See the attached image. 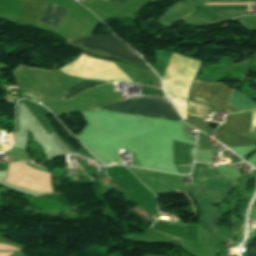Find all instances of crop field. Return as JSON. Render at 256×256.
Listing matches in <instances>:
<instances>
[{
  "mask_svg": "<svg viewBox=\"0 0 256 256\" xmlns=\"http://www.w3.org/2000/svg\"><path fill=\"white\" fill-rule=\"evenodd\" d=\"M237 178H224L214 175L206 164L195 163L192 184L185 185L200 207V213L207 231L216 234V223L220 218L216 209L209 203L221 202L228 190L235 186Z\"/></svg>",
  "mask_w": 256,
  "mask_h": 256,
  "instance_id": "crop-field-1",
  "label": "crop field"
},
{
  "mask_svg": "<svg viewBox=\"0 0 256 256\" xmlns=\"http://www.w3.org/2000/svg\"><path fill=\"white\" fill-rule=\"evenodd\" d=\"M98 109L181 121L166 98H132Z\"/></svg>",
  "mask_w": 256,
  "mask_h": 256,
  "instance_id": "crop-field-2",
  "label": "crop field"
},
{
  "mask_svg": "<svg viewBox=\"0 0 256 256\" xmlns=\"http://www.w3.org/2000/svg\"><path fill=\"white\" fill-rule=\"evenodd\" d=\"M19 163V162H12ZM28 164V163H26ZM24 163L9 164L6 182L14 185L21 186L25 189L39 192V193H53L52 189V176L49 174V170L37 168L29 165L33 168L49 172L45 173L36 169H33Z\"/></svg>",
  "mask_w": 256,
  "mask_h": 256,
  "instance_id": "crop-field-3",
  "label": "crop field"
},
{
  "mask_svg": "<svg viewBox=\"0 0 256 256\" xmlns=\"http://www.w3.org/2000/svg\"><path fill=\"white\" fill-rule=\"evenodd\" d=\"M68 41L95 51L120 57L134 63L147 66L135 51H133L127 44L123 43L112 35L74 39Z\"/></svg>",
  "mask_w": 256,
  "mask_h": 256,
  "instance_id": "crop-field-4",
  "label": "crop field"
},
{
  "mask_svg": "<svg viewBox=\"0 0 256 256\" xmlns=\"http://www.w3.org/2000/svg\"><path fill=\"white\" fill-rule=\"evenodd\" d=\"M218 86L217 83L194 80L188 100V115L204 119L215 100Z\"/></svg>",
  "mask_w": 256,
  "mask_h": 256,
  "instance_id": "crop-field-5",
  "label": "crop field"
},
{
  "mask_svg": "<svg viewBox=\"0 0 256 256\" xmlns=\"http://www.w3.org/2000/svg\"><path fill=\"white\" fill-rule=\"evenodd\" d=\"M207 2L206 0H185L177 3L158 22L167 25L180 22L188 18L197 7Z\"/></svg>",
  "mask_w": 256,
  "mask_h": 256,
  "instance_id": "crop-field-6",
  "label": "crop field"
},
{
  "mask_svg": "<svg viewBox=\"0 0 256 256\" xmlns=\"http://www.w3.org/2000/svg\"><path fill=\"white\" fill-rule=\"evenodd\" d=\"M224 4H247V3H209L205 5H224ZM250 3H248L249 9ZM247 9V5H224V6H201L193 15L195 18L207 21H215V15L221 10Z\"/></svg>",
  "mask_w": 256,
  "mask_h": 256,
  "instance_id": "crop-field-7",
  "label": "crop field"
},
{
  "mask_svg": "<svg viewBox=\"0 0 256 256\" xmlns=\"http://www.w3.org/2000/svg\"><path fill=\"white\" fill-rule=\"evenodd\" d=\"M235 111L240 112L249 109H256V103L235 90L231 91L228 104Z\"/></svg>",
  "mask_w": 256,
  "mask_h": 256,
  "instance_id": "crop-field-8",
  "label": "crop field"
},
{
  "mask_svg": "<svg viewBox=\"0 0 256 256\" xmlns=\"http://www.w3.org/2000/svg\"><path fill=\"white\" fill-rule=\"evenodd\" d=\"M68 6L49 4L40 21L59 24Z\"/></svg>",
  "mask_w": 256,
  "mask_h": 256,
  "instance_id": "crop-field-9",
  "label": "crop field"
},
{
  "mask_svg": "<svg viewBox=\"0 0 256 256\" xmlns=\"http://www.w3.org/2000/svg\"><path fill=\"white\" fill-rule=\"evenodd\" d=\"M101 82H91V81H83L75 86H73L72 88H70L69 90H67L65 93L67 99L81 93L82 91L89 89L90 87L99 84Z\"/></svg>",
  "mask_w": 256,
  "mask_h": 256,
  "instance_id": "crop-field-10",
  "label": "crop field"
},
{
  "mask_svg": "<svg viewBox=\"0 0 256 256\" xmlns=\"http://www.w3.org/2000/svg\"><path fill=\"white\" fill-rule=\"evenodd\" d=\"M8 154L11 156V158L25 159L31 161L23 149L12 147V149L8 151Z\"/></svg>",
  "mask_w": 256,
  "mask_h": 256,
  "instance_id": "crop-field-11",
  "label": "crop field"
},
{
  "mask_svg": "<svg viewBox=\"0 0 256 256\" xmlns=\"http://www.w3.org/2000/svg\"><path fill=\"white\" fill-rule=\"evenodd\" d=\"M178 173L187 174L190 172L192 165L175 166Z\"/></svg>",
  "mask_w": 256,
  "mask_h": 256,
  "instance_id": "crop-field-12",
  "label": "crop field"
},
{
  "mask_svg": "<svg viewBox=\"0 0 256 256\" xmlns=\"http://www.w3.org/2000/svg\"><path fill=\"white\" fill-rule=\"evenodd\" d=\"M211 2H242V1H249V0H210Z\"/></svg>",
  "mask_w": 256,
  "mask_h": 256,
  "instance_id": "crop-field-13",
  "label": "crop field"
},
{
  "mask_svg": "<svg viewBox=\"0 0 256 256\" xmlns=\"http://www.w3.org/2000/svg\"><path fill=\"white\" fill-rule=\"evenodd\" d=\"M249 133H251V134H253V135L256 136V126L252 125V127H251Z\"/></svg>",
  "mask_w": 256,
  "mask_h": 256,
  "instance_id": "crop-field-14",
  "label": "crop field"
},
{
  "mask_svg": "<svg viewBox=\"0 0 256 256\" xmlns=\"http://www.w3.org/2000/svg\"><path fill=\"white\" fill-rule=\"evenodd\" d=\"M106 1H110V2H114V3H118V4H124L125 0H106Z\"/></svg>",
  "mask_w": 256,
  "mask_h": 256,
  "instance_id": "crop-field-15",
  "label": "crop field"
},
{
  "mask_svg": "<svg viewBox=\"0 0 256 256\" xmlns=\"http://www.w3.org/2000/svg\"><path fill=\"white\" fill-rule=\"evenodd\" d=\"M0 140H1V130H0ZM2 148H3V145H2V143L0 141V151H2Z\"/></svg>",
  "mask_w": 256,
  "mask_h": 256,
  "instance_id": "crop-field-16",
  "label": "crop field"
}]
</instances>
